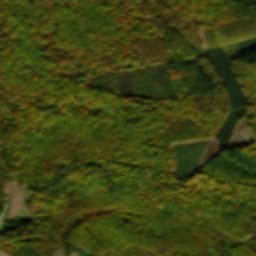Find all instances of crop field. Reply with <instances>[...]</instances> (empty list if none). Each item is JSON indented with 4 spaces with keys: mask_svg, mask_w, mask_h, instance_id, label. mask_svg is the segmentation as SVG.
Segmentation results:
<instances>
[{
    "mask_svg": "<svg viewBox=\"0 0 256 256\" xmlns=\"http://www.w3.org/2000/svg\"><path fill=\"white\" fill-rule=\"evenodd\" d=\"M78 255V253H76V252H74V251H72V253L70 254V256H77ZM79 256V255H78Z\"/></svg>",
    "mask_w": 256,
    "mask_h": 256,
    "instance_id": "8a807250",
    "label": "crop field"
}]
</instances>
